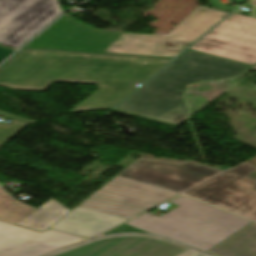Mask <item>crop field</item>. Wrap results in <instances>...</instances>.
Segmentation results:
<instances>
[{
  "label": "crop field",
  "mask_w": 256,
  "mask_h": 256,
  "mask_svg": "<svg viewBox=\"0 0 256 256\" xmlns=\"http://www.w3.org/2000/svg\"><path fill=\"white\" fill-rule=\"evenodd\" d=\"M173 59L26 48L0 68V86L43 91L54 81L96 84L98 90L71 112L112 108ZM15 120H32L0 112Z\"/></svg>",
  "instance_id": "1"
},
{
  "label": "crop field",
  "mask_w": 256,
  "mask_h": 256,
  "mask_svg": "<svg viewBox=\"0 0 256 256\" xmlns=\"http://www.w3.org/2000/svg\"><path fill=\"white\" fill-rule=\"evenodd\" d=\"M252 67L188 50L114 111L179 126L191 116L185 95L194 84L238 78Z\"/></svg>",
  "instance_id": "2"
},
{
  "label": "crop field",
  "mask_w": 256,
  "mask_h": 256,
  "mask_svg": "<svg viewBox=\"0 0 256 256\" xmlns=\"http://www.w3.org/2000/svg\"><path fill=\"white\" fill-rule=\"evenodd\" d=\"M171 202L179 206L161 217L147 213L126 224L207 252L252 223L186 196Z\"/></svg>",
  "instance_id": "3"
},
{
  "label": "crop field",
  "mask_w": 256,
  "mask_h": 256,
  "mask_svg": "<svg viewBox=\"0 0 256 256\" xmlns=\"http://www.w3.org/2000/svg\"><path fill=\"white\" fill-rule=\"evenodd\" d=\"M178 194L116 176L79 206L130 219Z\"/></svg>",
  "instance_id": "4"
},
{
  "label": "crop field",
  "mask_w": 256,
  "mask_h": 256,
  "mask_svg": "<svg viewBox=\"0 0 256 256\" xmlns=\"http://www.w3.org/2000/svg\"><path fill=\"white\" fill-rule=\"evenodd\" d=\"M254 170L244 162L183 194L256 221V179L246 176Z\"/></svg>",
  "instance_id": "5"
},
{
  "label": "crop field",
  "mask_w": 256,
  "mask_h": 256,
  "mask_svg": "<svg viewBox=\"0 0 256 256\" xmlns=\"http://www.w3.org/2000/svg\"><path fill=\"white\" fill-rule=\"evenodd\" d=\"M63 12L59 0H0V43L19 48Z\"/></svg>",
  "instance_id": "6"
},
{
  "label": "crop field",
  "mask_w": 256,
  "mask_h": 256,
  "mask_svg": "<svg viewBox=\"0 0 256 256\" xmlns=\"http://www.w3.org/2000/svg\"><path fill=\"white\" fill-rule=\"evenodd\" d=\"M228 14L199 6L168 35L124 33L105 52L175 57L180 52L150 49L162 40L194 42Z\"/></svg>",
  "instance_id": "7"
},
{
  "label": "crop field",
  "mask_w": 256,
  "mask_h": 256,
  "mask_svg": "<svg viewBox=\"0 0 256 256\" xmlns=\"http://www.w3.org/2000/svg\"><path fill=\"white\" fill-rule=\"evenodd\" d=\"M190 49L256 64V19L234 13Z\"/></svg>",
  "instance_id": "8"
},
{
  "label": "crop field",
  "mask_w": 256,
  "mask_h": 256,
  "mask_svg": "<svg viewBox=\"0 0 256 256\" xmlns=\"http://www.w3.org/2000/svg\"><path fill=\"white\" fill-rule=\"evenodd\" d=\"M225 171L192 163L139 159L118 176L183 193Z\"/></svg>",
  "instance_id": "9"
},
{
  "label": "crop field",
  "mask_w": 256,
  "mask_h": 256,
  "mask_svg": "<svg viewBox=\"0 0 256 256\" xmlns=\"http://www.w3.org/2000/svg\"><path fill=\"white\" fill-rule=\"evenodd\" d=\"M190 248L149 235L102 237L51 256H178Z\"/></svg>",
  "instance_id": "10"
},
{
  "label": "crop field",
  "mask_w": 256,
  "mask_h": 256,
  "mask_svg": "<svg viewBox=\"0 0 256 256\" xmlns=\"http://www.w3.org/2000/svg\"><path fill=\"white\" fill-rule=\"evenodd\" d=\"M122 34L91 28L65 15L27 46L104 52Z\"/></svg>",
  "instance_id": "11"
},
{
  "label": "crop field",
  "mask_w": 256,
  "mask_h": 256,
  "mask_svg": "<svg viewBox=\"0 0 256 256\" xmlns=\"http://www.w3.org/2000/svg\"><path fill=\"white\" fill-rule=\"evenodd\" d=\"M87 238L47 230H28L0 221V256H42Z\"/></svg>",
  "instance_id": "12"
},
{
  "label": "crop field",
  "mask_w": 256,
  "mask_h": 256,
  "mask_svg": "<svg viewBox=\"0 0 256 256\" xmlns=\"http://www.w3.org/2000/svg\"><path fill=\"white\" fill-rule=\"evenodd\" d=\"M70 211L53 198L39 209L28 206L0 187L1 221L43 232Z\"/></svg>",
  "instance_id": "13"
},
{
  "label": "crop field",
  "mask_w": 256,
  "mask_h": 256,
  "mask_svg": "<svg viewBox=\"0 0 256 256\" xmlns=\"http://www.w3.org/2000/svg\"><path fill=\"white\" fill-rule=\"evenodd\" d=\"M126 220L78 206L51 228L91 238Z\"/></svg>",
  "instance_id": "14"
},
{
  "label": "crop field",
  "mask_w": 256,
  "mask_h": 256,
  "mask_svg": "<svg viewBox=\"0 0 256 256\" xmlns=\"http://www.w3.org/2000/svg\"><path fill=\"white\" fill-rule=\"evenodd\" d=\"M208 253L215 256H256V223L253 222Z\"/></svg>",
  "instance_id": "15"
},
{
  "label": "crop field",
  "mask_w": 256,
  "mask_h": 256,
  "mask_svg": "<svg viewBox=\"0 0 256 256\" xmlns=\"http://www.w3.org/2000/svg\"><path fill=\"white\" fill-rule=\"evenodd\" d=\"M26 125H28V124L19 122V121H15V120H13L7 126L0 124V146H2L10 138H12L16 133H18Z\"/></svg>",
  "instance_id": "16"
},
{
  "label": "crop field",
  "mask_w": 256,
  "mask_h": 256,
  "mask_svg": "<svg viewBox=\"0 0 256 256\" xmlns=\"http://www.w3.org/2000/svg\"><path fill=\"white\" fill-rule=\"evenodd\" d=\"M192 43L162 41L153 49L183 51Z\"/></svg>",
  "instance_id": "17"
},
{
  "label": "crop field",
  "mask_w": 256,
  "mask_h": 256,
  "mask_svg": "<svg viewBox=\"0 0 256 256\" xmlns=\"http://www.w3.org/2000/svg\"><path fill=\"white\" fill-rule=\"evenodd\" d=\"M113 232H145V231H142V230H139L137 228H134V227H131L129 225L124 224V225H122V226H120V227H118V228H116V229H114V230H112L108 233H113ZM145 233H147V232H145Z\"/></svg>",
  "instance_id": "18"
},
{
  "label": "crop field",
  "mask_w": 256,
  "mask_h": 256,
  "mask_svg": "<svg viewBox=\"0 0 256 256\" xmlns=\"http://www.w3.org/2000/svg\"><path fill=\"white\" fill-rule=\"evenodd\" d=\"M16 50L0 46V63L9 57Z\"/></svg>",
  "instance_id": "19"
},
{
  "label": "crop field",
  "mask_w": 256,
  "mask_h": 256,
  "mask_svg": "<svg viewBox=\"0 0 256 256\" xmlns=\"http://www.w3.org/2000/svg\"><path fill=\"white\" fill-rule=\"evenodd\" d=\"M246 4L255 6L249 16L256 18V0H248Z\"/></svg>",
  "instance_id": "20"
},
{
  "label": "crop field",
  "mask_w": 256,
  "mask_h": 256,
  "mask_svg": "<svg viewBox=\"0 0 256 256\" xmlns=\"http://www.w3.org/2000/svg\"><path fill=\"white\" fill-rule=\"evenodd\" d=\"M200 255H202V253L190 249L180 256H200Z\"/></svg>",
  "instance_id": "21"
},
{
  "label": "crop field",
  "mask_w": 256,
  "mask_h": 256,
  "mask_svg": "<svg viewBox=\"0 0 256 256\" xmlns=\"http://www.w3.org/2000/svg\"><path fill=\"white\" fill-rule=\"evenodd\" d=\"M252 69H256V66L254 68H252Z\"/></svg>",
  "instance_id": "22"
},
{
  "label": "crop field",
  "mask_w": 256,
  "mask_h": 256,
  "mask_svg": "<svg viewBox=\"0 0 256 256\" xmlns=\"http://www.w3.org/2000/svg\"><path fill=\"white\" fill-rule=\"evenodd\" d=\"M203 256H207V255H203Z\"/></svg>",
  "instance_id": "23"
}]
</instances>
